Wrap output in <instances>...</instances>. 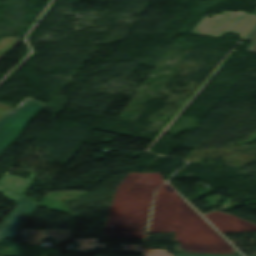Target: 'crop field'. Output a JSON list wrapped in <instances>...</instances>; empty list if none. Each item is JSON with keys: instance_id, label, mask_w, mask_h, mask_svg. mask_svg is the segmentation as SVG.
Segmentation results:
<instances>
[{"instance_id": "crop-field-1", "label": "crop field", "mask_w": 256, "mask_h": 256, "mask_svg": "<svg viewBox=\"0 0 256 256\" xmlns=\"http://www.w3.org/2000/svg\"><path fill=\"white\" fill-rule=\"evenodd\" d=\"M247 14L241 11H223L221 15H205L191 33L220 37L225 32H235L243 38L256 23V17ZM208 16L214 18H208Z\"/></svg>"}, {"instance_id": "crop-field-2", "label": "crop field", "mask_w": 256, "mask_h": 256, "mask_svg": "<svg viewBox=\"0 0 256 256\" xmlns=\"http://www.w3.org/2000/svg\"><path fill=\"white\" fill-rule=\"evenodd\" d=\"M44 106L26 98L18 108L7 112L0 120V156Z\"/></svg>"}, {"instance_id": "crop-field-3", "label": "crop field", "mask_w": 256, "mask_h": 256, "mask_svg": "<svg viewBox=\"0 0 256 256\" xmlns=\"http://www.w3.org/2000/svg\"><path fill=\"white\" fill-rule=\"evenodd\" d=\"M18 202V208L7 217L0 228V243L5 237L16 238L38 206L23 197Z\"/></svg>"}, {"instance_id": "crop-field-4", "label": "crop field", "mask_w": 256, "mask_h": 256, "mask_svg": "<svg viewBox=\"0 0 256 256\" xmlns=\"http://www.w3.org/2000/svg\"><path fill=\"white\" fill-rule=\"evenodd\" d=\"M38 177V175L32 173L28 179H24L18 176L5 175L0 181V184L14 190L15 192L23 195V193L31 186L32 182ZM3 195L9 198L10 200L16 202L21 197L20 195L6 189L0 185V191H3Z\"/></svg>"}, {"instance_id": "crop-field-5", "label": "crop field", "mask_w": 256, "mask_h": 256, "mask_svg": "<svg viewBox=\"0 0 256 256\" xmlns=\"http://www.w3.org/2000/svg\"><path fill=\"white\" fill-rule=\"evenodd\" d=\"M24 238V243L41 246V237H54L57 244L72 238L71 229L68 230H34L23 229L19 235Z\"/></svg>"}, {"instance_id": "crop-field-6", "label": "crop field", "mask_w": 256, "mask_h": 256, "mask_svg": "<svg viewBox=\"0 0 256 256\" xmlns=\"http://www.w3.org/2000/svg\"><path fill=\"white\" fill-rule=\"evenodd\" d=\"M20 40L12 38H3L0 41V58L5 55Z\"/></svg>"}, {"instance_id": "crop-field-7", "label": "crop field", "mask_w": 256, "mask_h": 256, "mask_svg": "<svg viewBox=\"0 0 256 256\" xmlns=\"http://www.w3.org/2000/svg\"><path fill=\"white\" fill-rule=\"evenodd\" d=\"M246 41L251 42L249 44V50L250 52H255L256 53V27L255 29L251 32V34L248 36Z\"/></svg>"}, {"instance_id": "crop-field-8", "label": "crop field", "mask_w": 256, "mask_h": 256, "mask_svg": "<svg viewBox=\"0 0 256 256\" xmlns=\"http://www.w3.org/2000/svg\"><path fill=\"white\" fill-rule=\"evenodd\" d=\"M175 256H241V255H199V254H178Z\"/></svg>"}, {"instance_id": "crop-field-9", "label": "crop field", "mask_w": 256, "mask_h": 256, "mask_svg": "<svg viewBox=\"0 0 256 256\" xmlns=\"http://www.w3.org/2000/svg\"><path fill=\"white\" fill-rule=\"evenodd\" d=\"M11 107L0 104V119L6 114Z\"/></svg>"}]
</instances>
